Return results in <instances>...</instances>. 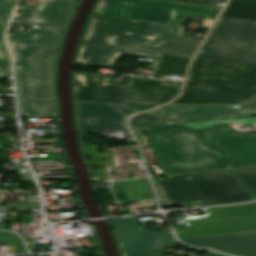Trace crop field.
<instances>
[{"label": "crop field", "mask_w": 256, "mask_h": 256, "mask_svg": "<svg viewBox=\"0 0 256 256\" xmlns=\"http://www.w3.org/2000/svg\"><path fill=\"white\" fill-rule=\"evenodd\" d=\"M124 106H128V107H132V108H136V109H140V110H144V109H148V108H152L158 105H152V104H132V103H123Z\"/></svg>", "instance_id": "obj_25"}, {"label": "crop field", "mask_w": 256, "mask_h": 256, "mask_svg": "<svg viewBox=\"0 0 256 256\" xmlns=\"http://www.w3.org/2000/svg\"><path fill=\"white\" fill-rule=\"evenodd\" d=\"M13 23L42 25L39 30L28 29L25 34L54 35V36H63L66 25H67V24H58V23H40V22H22V21H14Z\"/></svg>", "instance_id": "obj_18"}, {"label": "crop field", "mask_w": 256, "mask_h": 256, "mask_svg": "<svg viewBox=\"0 0 256 256\" xmlns=\"http://www.w3.org/2000/svg\"><path fill=\"white\" fill-rule=\"evenodd\" d=\"M176 10L217 15L220 10L149 0H100L96 15L170 24Z\"/></svg>", "instance_id": "obj_9"}, {"label": "crop field", "mask_w": 256, "mask_h": 256, "mask_svg": "<svg viewBox=\"0 0 256 256\" xmlns=\"http://www.w3.org/2000/svg\"><path fill=\"white\" fill-rule=\"evenodd\" d=\"M256 112V97L240 107L232 106H201V105H167L146 112L179 123L228 119L245 116Z\"/></svg>", "instance_id": "obj_11"}, {"label": "crop field", "mask_w": 256, "mask_h": 256, "mask_svg": "<svg viewBox=\"0 0 256 256\" xmlns=\"http://www.w3.org/2000/svg\"><path fill=\"white\" fill-rule=\"evenodd\" d=\"M75 7V2L64 0L38 3L36 9L19 8L22 14L16 15L14 20L67 23Z\"/></svg>", "instance_id": "obj_14"}, {"label": "crop field", "mask_w": 256, "mask_h": 256, "mask_svg": "<svg viewBox=\"0 0 256 256\" xmlns=\"http://www.w3.org/2000/svg\"><path fill=\"white\" fill-rule=\"evenodd\" d=\"M197 57L256 65V0H230Z\"/></svg>", "instance_id": "obj_5"}, {"label": "crop field", "mask_w": 256, "mask_h": 256, "mask_svg": "<svg viewBox=\"0 0 256 256\" xmlns=\"http://www.w3.org/2000/svg\"><path fill=\"white\" fill-rule=\"evenodd\" d=\"M0 243H22L19 236L10 232H0Z\"/></svg>", "instance_id": "obj_24"}, {"label": "crop field", "mask_w": 256, "mask_h": 256, "mask_svg": "<svg viewBox=\"0 0 256 256\" xmlns=\"http://www.w3.org/2000/svg\"><path fill=\"white\" fill-rule=\"evenodd\" d=\"M130 123L132 127L138 126H150V125H161V124H173L174 122L167 121L155 116H151L145 113L135 115L131 117Z\"/></svg>", "instance_id": "obj_19"}, {"label": "crop field", "mask_w": 256, "mask_h": 256, "mask_svg": "<svg viewBox=\"0 0 256 256\" xmlns=\"http://www.w3.org/2000/svg\"><path fill=\"white\" fill-rule=\"evenodd\" d=\"M63 37L8 34L23 117H58L54 74Z\"/></svg>", "instance_id": "obj_3"}, {"label": "crop field", "mask_w": 256, "mask_h": 256, "mask_svg": "<svg viewBox=\"0 0 256 256\" xmlns=\"http://www.w3.org/2000/svg\"><path fill=\"white\" fill-rule=\"evenodd\" d=\"M109 77L74 72L75 100L164 104L181 89L166 86V81L134 77L128 85L107 84Z\"/></svg>", "instance_id": "obj_7"}, {"label": "crop field", "mask_w": 256, "mask_h": 256, "mask_svg": "<svg viewBox=\"0 0 256 256\" xmlns=\"http://www.w3.org/2000/svg\"><path fill=\"white\" fill-rule=\"evenodd\" d=\"M256 96V66L195 58L171 104H239Z\"/></svg>", "instance_id": "obj_4"}, {"label": "crop field", "mask_w": 256, "mask_h": 256, "mask_svg": "<svg viewBox=\"0 0 256 256\" xmlns=\"http://www.w3.org/2000/svg\"><path fill=\"white\" fill-rule=\"evenodd\" d=\"M162 1H171V2H179V3L213 7L216 2L226 1V0H162Z\"/></svg>", "instance_id": "obj_22"}, {"label": "crop field", "mask_w": 256, "mask_h": 256, "mask_svg": "<svg viewBox=\"0 0 256 256\" xmlns=\"http://www.w3.org/2000/svg\"><path fill=\"white\" fill-rule=\"evenodd\" d=\"M131 201L153 198L145 180L124 181Z\"/></svg>", "instance_id": "obj_17"}, {"label": "crop field", "mask_w": 256, "mask_h": 256, "mask_svg": "<svg viewBox=\"0 0 256 256\" xmlns=\"http://www.w3.org/2000/svg\"><path fill=\"white\" fill-rule=\"evenodd\" d=\"M180 241L185 244L239 256H256V231Z\"/></svg>", "instance_id": "obj_13"}, {"label": "crop field", "mask_w": 256, "mask_h": 256, "mask_svg": "<svg viewBox=\"0 0 256 256\" xmlns=\"http://www.w3.org/2000/svg\"><path fill=\"white\" fill-rule=\"evenodd\" d=\"M254 116H256V115H249V117H254Z\"/></svg>", "instance_id": "obj_26"}, {"label": "crop field", "mask_w": 256, "mask_h": 256, "mask_svg": "<svg viewBox=\"0 0 256 256\" xmlns=\"http://www.w3.org/2000/svg\"><path fill=\"white\" fill-rule=\"evenodd\" d=\"M123 256H163V249L128 253V254H123ZM208 256H224V255L214 254V255H208Z\"/></svg>", "instance_id": "obj_23"}, {"label": "crop field", "mask_w": 256, "mask_h": 256, "mask_svg": "<svg viewBox=\"0 0 256 256\" xmlns=\"http://www.w3.org/2000/svg\"><path fill=\"white\" fill-rule=\"evenodd\" d=\"M79 132L128 128L125 119L139 111L120 104L75 102Z\"/></svg>", "instance_id": "obj_12"}, {"label": "crop field", "mask_w": 256, "mask_h": 256, "mask_svg": "<svg viewBox=\"0 0 256 256\" xmlns=\"http://www.w3.org/2000/svg\"><path fill=\"white\" fill-rule=\"evenodd\" d=\"M185 27L92 15L76 64L112 68L122 55L160 58L162 52L193 56L200 39L180 37Z\"/></svg>", "instance_id": "obj_2"}, {"label": "crop field", "mask_w": 256, "mask_h": 256, "mask_svg": "<svg viewBox=\"0 0 256 256\" xmlns=\"http://www.w3.org/2000/svg\"><path fill=\"white\" fill-rule=\"evenodd\" d=\"M17 0H0V76L8 77L10 66L9 56L3 46V33L6 22L15 6Z\"/></svg>", "instance_id": "obj_16"}, {"label": "crop field", "mask_w": 256, "mask_h": 256, "mask_svg": "<svg viewBox=\"0 0 256 256\" xmlns=\"http://www.w3.org/2000/svg\"><path fill=\"white\" fill-rule=\"evenodd\" d=\"M163 175L256 165V137L227 124L145 127Z\"/></svg>", "instance_id": "obj_1"}, {"label": "crop field", "mask_w": 256, "mask_h": 256, "mask_svg": "<svg viewBox=\"0 0 256 256\" xmlns=\"http://www.w3.org/2000/svg\"><path fill=\"white\" fill-rule=\"evenodd\" d=\"M221 122L220 120L216 121H206V122H196V123H186L184 125H187L193 129L198 128H205L209 126H213L217 123ZM224 122H235V123H241V124H249V125H255L256 124V117L254 118H245V119H231Z\"/></svg>", "instance_id": "obj_21"}, {"label": "crop field", "mask_w": 256, "mask_h": 256, "mask_svg": "<svg viewBox=\"0 0 256 256\" xmlns=\"http://www.w3.org/2000/svg\"><path fill=\"white\" fill-rule=\"evenodd\" d=\"M122 253L177 246L170 229L149 231L135 217L112 220Z\"/></svg>", "instance_id": "obj_10"}, {"label": "crop field", "mask_w": 256, "mask_h": 256, "mask_svg": "<svg viewBox=\"0 0 256 256\" xmlns=\"http://www.w3.org/2000/svg\"><path fill=\"white\" fill-rule=\"evenodd\" d=\"M191 58L163 53L153 76L162 79H168L170 74L184 76Z\"/></svg>", "instance_id": "obj_15"}, {"label": "crop field", "mask_w": 256, "mask_h": 256, "mask_svg": "<svg viewBox=\"0 0 256 256\" xmlns=\"http://www.w3.org/2000/svg\"><path fill=\"white\" fill-rule=\"evenodd\" d=\"M154 183L163 207L222 205L256 198L230 170L171 176Z\"/></svg>", "instance_id": "obj_6"}, {"label": "crop field", "mask_w": 256, "mask_h": 256, "mask_svg": "<svg viewBox=\"0 0 256 256\" xmlns=\"http://www.w3.org/2000/svg\"><path fill=\"white\" fill-rule=\"evenodd\" d=\"M241 181L256 195V167L232 170Z\"/></svg>", "instance_id": "obj_20"}, {"label": "crop field", "mask_w": 256, "mask_h": 256, "mask_svg": "<svg viewBox=\"0 0 256 256\" xmlns=\"http://www.w3.org/2000/svg\"><path fill=\"white\" fill-rule=\"evenodd\" d=\"M188 227L176 228L179 239L256 230V203L208 208L207 215L184 218Z\"/></svg>", "instance_id": "obj_8"}]
</instances>
